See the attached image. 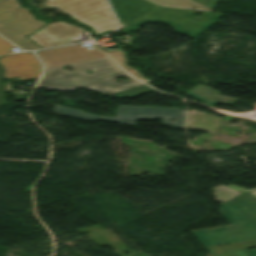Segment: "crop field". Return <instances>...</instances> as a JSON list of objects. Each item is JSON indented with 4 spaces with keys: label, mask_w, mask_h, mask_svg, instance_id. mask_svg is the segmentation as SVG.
<instances>
[{
    "label": "crop field",
    "mask_w": 256,
    "mask_h": 256,
    "mask_svg": "<svg viewBox=\"0 0 256 256\" xmlns=\"http://www.w3.org/2000/svg\"><path fill=\"white\" fill-rule=\"evenodd\" d=\"M220 210L231 226L191 231L204 246L256 240V198L241 193Z\"/></svg>",
    "instance_id": "obj_2"
},
{
    "label": "crop field",
    "mask_w": 256,
    "mask_h": 256,
    "mask_svg": "<svg viewBox=\"0 0 256 256\" xmlns=\"http://www.w3.org/2000/svg\"><path fill=\"white\" fill-rule=\"evenodd\" d=\"M150 90H152L151 87H149L147 85H144V86H141V87H138V88H135V89H131V90H128V91L118 93L117 95L114 96V99H117V98L123 99L125 97L134 98V97L139 96L143 93H146Z\"/></svg>",
    "instance_id": "obj_16"
},
{
    "label": "crop field",
    "mask_w": 256,
    "mask_h": 256,
    "mask_svg": "<svg viewBox=\"0 0 256 256\" xmlns=\"http://www.w3.org/2000/svg\"><path fill=\"white\" fill-rule=\"evenodd\" d=\"M44 23L34 20L28 9L19 7L16 0H0V34L24 50L39 47L24 36L43 27Z\"/></svg>",
    "instance_id": "obj_5"
},
{
    "label": "crop field",
    "mask_w": 256,
    "mask_h": 256,
    "mask_svg": "<svg viewBox=\"0 0 256 256\" xmlns=\"http://www.w3.org/2000/svg\"><path fill=\"white\" fill-rule=\"evenodd\" d=\"M12 48H14L12 45L0 38V55L9 53Z\"/></svg>",
    "instance_id": "obj_17"
},
{
    "label": "crop field",
    "mask_w": 256,
    "mask_h": 256,
    "mask_svg": "<svg viewBox=\"0 0 256 256\" xmlns=\"http://www.w3.org/2000/svg\"><path fill=\"white\" fill-rule=\"evenodd\" d=\"M194 12L200 11L160 7L122 28V30L124 32H128L137 28L144 22L159 21L172 25L179 33L195 37L213 25L218 18L223 15L218 13L201 12L203 14L198 18H195L192 16Z\"/></svg>",
    "instance_id": "obj_4"
},
{
    "label": "crop field",
    "mask_w": 256,
    "mask_h": 256,
    "mask_svg": "<svg viewBox=\"0 0 256 256\" xmlns=\"http://www.w3.org/2000/svg\"><path fill=\"white\" fill-rule=\"evenodd\" d=\"M247 247H256V241L207 248L209 256H248Z\"/></svg>",
    "instance_id": "obj_12"
},
{
    "label": "crop field",
    "mask_w": 256,
    "mask_h": 256,
    "mask_svg": "<svg viewBox=\"0 0 256 256\" xmlns=\"http://www.w3.org/2000/svg\"><path fill=\"white\" fill-rule=\"evenodd\" d=\"M122 26L160 7L146 0H110Z\"/></svg>",
    "instance_id": "obj_9"
},
{
    "label": "crop field",
    "mask_w": 256,
    "mask_h": 256,
    "mask_svg": "<svg viewBox=\"0 0 256 256\" xmlns=\"http://www.w3.org/2000/svg\"><path fill=\"white\" fill-rule=\"evenodd\" d=\"M248 254L249 256H256V250H249Z\"/></svg>",
    "instance_id": "obj_19"
},
{
    "label": "crop field",
    "mask_w": 256,
    "mask_h": 256,
    "mask_svg": "<svg viewBox=\"0 0 256 256\" xmlns=\"http://www.w3.org/2000/svg\"><path fill=\"white\" fill-rule=\"evenodd\" d=\"M84 29L69 25L64 22L53 23L45 26L36 34L29 36L42 48L67 44L66 38L79 36Z\"/></svg>",
    "instance_id": "obj_8"
},
{
    "label": "crop field",
    "mask_w": 256,
    "mask_h": 256,
    "mask_svg": "<svg viewBox=\"0 0 256 256\" xmlns=\"http://www.w3.org/2000/svg\"><path fill=\"white\" fill-rule=\"evenodd\" d=\"M187 94L210 106H213L217 103L231 105L237 100L236 98L220 96L216 91L201 84H198Z\"/></svg>",
    "instance_id": "obj_11"
},
{
    "label": "crop field",
    "mask_w": 256,
    "mask_h": 256,
    "mask_svg": "<svg viewBox=\"0 0 256 256\" xmlns=\"http://www.w3.org/2000/svg\"><path fill=\"white\" fill-rule=\"evenodd\" d=\"M108 55H110L117 63L118 65L123 68L125 71L130 73L135 78L139 79L140 81L147 83V79H145L142 74L137 71L136 69L126 65V58L122 50L119 51H113V52H107Z\"/></svg>",
    "instance_id": "obj_15"
},
{
    "label": "crop field",
    "mask_w": 256,
    "mask_h": 256,
    "mask_svg": "<svg viewBox=\"0 0 256 256\" xmlns=\"http://www.w3.org/2000/svg\"><path fill=\"white\" fill-rule=\"evenodd\" d=\"M45 5L58 7L73 19L91 26L96 35L116 28L105 0H48Z\"/></svg>",
    "instance_id": "obj_6"
},
{
    "label": "crop field",
    "mask_w": 256,
    "mask_h": 256,
    "mask_svg": "<svg viewBox=\"0 0 256 256\" xmlns=\"http://www.w3.org/2000/svg\"><path fill=\"white\" fill-rule=\"evenodd\" d=\"M148 1H151L161 6H167V7H177V8L200 10V11H208V12L212 11L211 9L203 5H200L192 0H148Z\"/></svg>",
    "instance_id": "obj_14"
},
{
    "label": "crop field",
    "mask_w": 256,
    "mask_h": 256,
    "mask_svg": "<svg viewBox=\"0 0 256 256\" xmlns=\"http://www.w3.org/2000/svg\"><path fill=\"white\" fill-rule=\"evenodd\" d=\"M45 65L44 76L38 87L50 90H75L86 87L108 97L115 92L143 85L120 70L110 58L96 49L89 50L82 44L38 52ZM70 65L75 71L66 72L63 66ZM92 69V74L84 72ZM128 80L116 83L118 77Z\"/></svg>",
    "instance_id": "obj_1"
},
{
    "label": "crop field",
    "mask_w": 256,
    "mask_h": 256,
    "mask_svg": "<svg viewBox=\"0 0 256 256\" xmlns=\"http://www.w3.org/2000/svg\"><path fill=\"white\" fill-rule=\"evenodd\" d=\"M0 57H2V56H0ZM2 74H3V70H2V68L0 66V79L2 78ZM2 86H3V82L0 81V105L6 103L5 102V98H4V94H3V90H2Z\"/></svg>",
    "instance_id": "obj_18"
},
{
    "label": "crop field",
    "mask_w": 256,
    "mask_h": 256,
    "mask_svg": "<svg viewBox=\"0 0 256 256\" xmlns=\"http://www.w3.org/2000/svg\"><path fill=\"white\" fill-rule=\"evenodd\" d=\"M220 118L202 112L188 111L187 129H201L215 133L220 123Z\"/></svg>",
    "instance_id": "obj_10"
},
{
    "label": "crop field",
    "mask_w": 256,
    "mask_h": 256,
    "mask_svg": "<svg viewBox=\"0 0 256 256\" xmlns=\"http://www.w3.org/2000/svg\"><path fill=\"white\" fill-rule=\"evenodd\" d=\"M5 69L4 77L11 79L18 77L20 81L36 78L41 66L31 53L5 56L0 59Z\"/></svg>",
    "instance_id": "obj_7"
},
{
    "label": "crop field",
    "mask_w": 256,
    "mask_h": 256,
    "mask_svg": "<svg viewBox=\"0 0 256 256\" xmlns=\"http://www.w3.org/2000/svg\"><path fill=\"white\" fill-rule=\"evenodd\" d=\"M55 113L60 116L72 117L86 121L105 120L135 127V120L163 118V124L175 128H183L185 110L176 108L135 107L119 105L116 109V118L83 113L80 110L56 105ZM170 119H175L174 123Z\"/></svg>",
    "instance_id": "obj_3"
},
{
    "label": "crop field",
    "mask_w": 256,
    "mask_h": 256,
    "mask_svg": "<svg viewBox=\"0 0 256 256\" xmlns=\"http://www.w3.org/2000/svg\"><path fill=\"white\" fill-rule=\"evenodd\" d=\"M213 190H215L213 192V195L217 196L216 200L222 203L226 202L227 200L231 199L232 197H234L235 195L241 192L256 197V190L252 191V190L234 186L232 184L227 187L220 185L214 188Z\"/></svg>",
    "instance_id": "obj_13"
}]
</instances>
